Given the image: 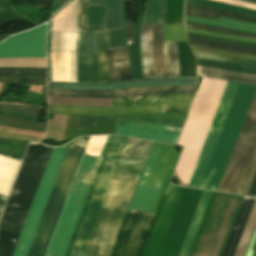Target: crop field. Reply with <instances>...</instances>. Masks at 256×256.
I'll return each mask as SVG.
<instances>
[{
    "label": "crop field",
    "instance_id": "obj_46",
    "mask_svg": "<svg viewBox=\"0 0 256 256\" xmlns=\"http://www.w3.org/2000/svg\"><path fill=\"white\" fill-rule=\"evenodd\" d=\"M127 38L128 45L133 44V36H132V21H127Z\"/></svg>",
    "mask_w": 256,
    "mask_h": 256
},
{
    "label": "crop field",
    "instance_id": "obj_24",
    "mask_svg": "<svg viewBox=\"0 0 256 256\" xmlns=\"http://www.w3.org/2000/svg\"><path fill=\"white\" fill-rule=\"evenodd\" d=\"M185 15L204 17V18H209L214 20H216L218 16H221V17H227V18L256 23V18H253V17L233 14V13H228V12L214 10L206 7L188 5V4H185Z\"/></svg>",
    "mask_w": 256,
    "mask_h": 256
},
{
    "label": "crop field",
    "instance_id": "obj_45",
    "mask_svg": "<svg viewBox=\"0 0 256 256\" xmlns=\"http://www.w3.org/2000/svg\"><path fill=\"white\" fill-rule=\"evenodd\" d=\"M186 30L189 31V32H195V33H200V34H206V35H213V36H219V37H226V38L239 39V40H247V41H255L256 42V40H249V39H242V38L218 35V34H213V33L205 32V31L190 30V29H186Z\"/></svg>",
    "mask_w": 256,
    "mask_h": 256
},
{
    "label": "crop field",
    "instance_id": "obj_4",
    "mask_svg": "<svg viewBox=\"0 0 256 256\" xmlns=\"http://www.w3.org/2000/svg\"><path fill=\"white\" fill-rule=\"evenodd\" d=\"M52 147L30 143L0 220V256H11Z\"/></svg>",
    "mask_w": 256,
    "mask_h": 256
},
{
    "label": "crop field",
    "instance_id": "obj_51",
    "mask_svg": "<svg viewBox=\"0 0 256 256\" xmlns=\"http://www.w3.org/2000/svg\"><path fill=\"white\" fill-rule=\"evenodd\" d=\"M2 209H3V207H2V206H0V214H1Z\"/></svg>",
    "mask_w": 256,
    "mask_h": 256
},
{
    "label": "crop field",
    "instance_id": "obj_15",
    "mask_svg": "<svg viewBox=\"0 0 256 256\" xmlns=\"http://www.w3.org/2000/svg\"><path fill=\"white\" fill-rule=\"evenodd\" d=\"M237 84L238 83L228 82L226 85L225 91L223 93L222 99L220 101L219 107L217 109L216 115L214 117L213 123L211 125L210 131L208 133L195 171L193 173L192 179L190 181V187L198 188L200 185L201 179L203 177L204 171L206 169L207 163L209 161L210 155L212 153L216 139L220 132L221 126L223 124L224 118L226 116L227 110L229 108Z\"/></svg>",
    "mask_w": 256,
    "mask_h": 256
},
{
    "label": "crop field",
    "instance_id": "obj_14",
    "mask_svg": "<svg viewBox=\"0 0 256 256\" xmlns=\"http://www.w3.org/2000/svg\"><path fill=\"white\" fill-rule=\"evenodd\" d=\"M47 23L0 43V57L46 56L44 46Z\"/></svg>",
    "mask_w": 256,
    "mask_h": 256
},
{
    "label": "crop field",
    "instance_id": "obj_47",
    "mask_svg": "<svg viewBox=\"0 0 256 256\" xmlns=\"http://www.w3.org/2000/svg\"><path fill=\"white\" fill-rule=\"evenodd\" d=\"M89 6H93V7H97V6L106 7V0H89Z\"/></svg>",
    "mask_w": 256,
    "mask_h": 256
},
{
    "label": "crop field",
    "instance_id": "obj_3",
    "mask_svg": "<svg viewBox=\"0 0 256 256\" xmlns=\"http://www.w3.org/2000/svg\"><path fill=\"white\" fill-rule=\"evenodd\" d=\"M178 154L153 142L128 210L155 215ZM126 211L110 256H139L154 216Z\"/></svg>",
    "mask_w": 256,
    "mask_h": 256
},
{
    "label": "crop field",
    "instance_id": "obj_44",
    "mask_svg": "<svg viewBox=\"0 0 256 256\" xmlns=\"http://www.w3.org/2000/svg\"><path fill=\"white\" fill-rule=\"evenodd\" d=\"M245 256H256V229Z\"/></svg>",
    "mask_w": 256,
    "mask_h": 256
},
{
    "label": "crop field",
    "instance_id": "obj_38",
    "mask_svg": "<svg viewBox=\"0 0 256 256\" xmlns=\"http://www.w3.org/2000/svg\"><path fill=\"white\" fill-rule=\"evenodd\" d=\"M175 39L186 42L184 25H164V41Z\"/></svg>",
    "mask_w": 256,
    "mask_h": 256
},
{
    "label": "crop field",
    "instance_id": "obj_7",
    "mask_svg": "<svg viewBox=\"0 0 256 256\" xmlns=\"http://www.w3.org/2000/svg\"><path fill=\"white\" fill-rule=\"evenodd\" d=\"M89 137L70 142L27 256H44Z\"/></svg>",
    "mask_w": 256,
    "mask_h": 256
},
{
    "label": "crop field",
    "instance_id": "obj_11",
    "mask_svg": "<svg viewBox=\"0 0 256 256\" xmlns=\"http://www.w3.org/2000/svg\"><path fill=\"white\" fill-rule=\"evenodd\" d=\"M67 146L52 148L12 256H26Z\"/></svg>",
    "mask_w": 256,
    "mask_h": 256
},
{
    "label": "crop field",
    "instance_id": "obj_6",
    "mask_svg": "<svg viewBox=\"0 0 256 256\" xmlns=\"http://www.w3.org/2000/svg\"><path fill=\"white\" fill-rule=\"evenodd\" d=\"M227 82L203 78L177 144L185 145L174 173L189 183Z\"/></svg>",
    "mask_w": 256,
    "mask_h": 256
},
{
    "label": "crop field",
    "instance_id": "obj_19",
    "mask_svg": "<svg viewBox=\"0 0 256 256\" xmlns=\"http://www.w3.org/2000/svg\"><path fill=\"white\" fill-rule=\"evenodd\" d=\"M194 96L167 95L112 99L113 106L163 104V112L187 113Z\"/></svg>",
    "mask_w": 256,
    "mask_h": 256
},
{
    "label": "crop field",
    "instance_id": "obj_5",
    "mask_svg": "<svg viewBox=\"0 0 256 256\" xmlns=\"http://www.w3.org/2000/svg\"><path fill=\"white\" fill-rule=\"evenodd\" d=\"M110 136L90 137L45 256L66 255Z\"/></svg>",
    "mask_w": 256,
    "mask_h": 256
},
{
    "label": "crop field",
    "instance_id": "obj_13",
    "mask_svg": "<svg viewBox=\"0 0 256 256\" xmlns=\"http://www.w3.org/2000/svg\"><path fill=\"white\" fill-rule=\"evenodd\" d=\"M182 190L168 185L142 256H158Z\"/></svg>",
    "mask_w": 256,
    "mask_h": 256
},
{
    "label": "crop field",
    "instance_id": "obj_21",
    "mask_svg": "<svg viewBox=\"0 0 256 256\" xmlns=\"http://www.w3.org/2000/svg\"><path fill=\"white\" fill-rule=\"evenodd\" d=\"M0 83L46 85V68L0 67Z\"/></svg>",
    "mask_w": 256,
    "mask_h": 256
},
{
    "label": "crop field",
    "instance_id": "obj_16",
    "mask_svg": "<svg viewBox=\"0 0 256 256\" xmlns=\"http://www.w3.org/2000/svg\"><path fill=\"white\" fill-rule=\"evenodd\" d=\"M195 87L191 86H163L144 87L118 91H79V90H48V96L63 97H89V98H123L136 96H152L166 94H189L194 95Z\"/></svg>",
    "mask_w": 256,
    "mask_h": 256
},
{
    "label": "crop field",
    "instance_id": "obj_30",
    "mask_svg": "<svg viewBox=\"0 0 256 256\" xmlns=\"http://www.w3.org/2000/svg\"><path fill=\"white\" fill-rule=\"evenodd\" d=\"M187 39H188L189 43L192 45H198V46H204V47H210V48H216V49H222V50L256 55L255 48L241 47V46L223 44V43H218V42H213V41H208V40H201V39H191V38H187Z\"/></svg>",
    "mask_w": 256,
    "mask_h": 256
},
{
    "label": "crop field",
    "instance_id": "obj_37",
    "mask_svg": "<svg viewBox=\"0 0 256 256\" xmlns=\"http://www.w3.org/2000/svg\"><path fill=\"white\" fill-rule=\"evenodd\" d=\"M185 23H186V28L201 29V30H207V31L232 35V36H236V37L256 39V34H250V33L242 32V31L228 30V29H222V28H217V27H213V26L193 24V23H188V25H189V27H188L187 22H185Z\"/></svg>",
    "mask_w": 256,
    "mask_h": 256
},
{
    "label": "crop field",
    "instance_id": "obj_32",
    "mask_svg": "<svg viewBox=\"0 0 256 256\" xmlns=\"http://www.w3.org/2000/svg\"><path fill=\"white\" fill-rule=\"evenodd\" d=\"M198 65L227 70V71L256 75V67L235 65V64H229V63H223V62H217V61H211V60H205V59H199V58H198Z\"/></svg>",
    "mask_w": 256,
    "mask_h": 256
},
{
    "label": "crop field",
    "instance_id": "obj_31",
    "mask_svg": "<svg viewBox=\"0 0 256 256\" xmlns=\"http://www.w3.org/2000/svg\"><path fill=\"white\" fill-rule=\"evenodd\" d=\"M165 0H148L145 23L163 24Z\"/></svg>",
    "mask_w": 256,
    "mask_h": 256
},
{
    "label": "crop field",
    "instance_id": "obj_9",
    "mask_svg": "<svg viewBox=\"0 0 256 256\" xmlns=\"http://www.w3.org/2000/svg\"><path fill=\"white\" fill-rule=\"evenodd\" d=\"M256 171V92L217 191L247 195Z\"/></svg>",
    "mask_w": 256,
    "mask_h": 256
},
{
    "label": "crop field",
    "instance_id": "obj_26",
    "mask_svg": "<svg viewBox=\"0 0 256 256\" xmlns=\"http://www.w3.org/2000/svg\"><path fill=\"white\" fill-rule=\"evenodd\" d=\"M198 75L236 82L256 84V76L254 75L239 74L200 66H198Z\"/></svg>",
    "mask_w": 256,
    "mask_h": 256
},
{
    "label": "crop field",
    "instance_id": "obj_50",
    "mask_svg": "<svg viewBox=\"0 0 256 256\" xmlns=\"http://www.w3.org/2000/svg\"><path fill=\"white\" fill-rule=\"evenodd\" d=\"M243 1H247V2H251V3H255L256 4V0H243Z\"/></svg>",
    "mask_w": 256,
    "mask_h": 256
},
{
    "label": "crop field",
    "instance_id": "obj_23",
    "mask_svg": "<svg viewBox=\"0 0 256 256\" xmlns=\"http://www.w3.org/2000/svg\"><path fill=\"white\" fill-rule=\"evenodd\" d=\"M255 199L244 197L222 256H233Z\"/></svg>",
    "mask_w": 256,
    "mask_h": 256
},
{
    "label": "crop field",
    "instance_id": "obj_40",
    "mask_svg": "<svg viewBox=\"0 0 256 256\" xmlns=\"http://www.w3.org/2000/svg\"><path fill=\"white\" fill-rule=\"evenodd\" d=\"M41 108L42 107H40V106H34V105H28V104H26L25 107L0 105V110L18 113V114H22V115H30V116H36L38 111Z\"/></svg>",
    "mask_w": 256,
    "mask_h": 256
},
{
    "label": "crop field",
    "instance_id": "obj_2",
    "mask_svg": "<svg viewBox=\"0 0 256 256\" xmlns=\"http://www.w3.org/2000/svg\"><path fill=\"white\" fill-rule=\"evenodd\" d=\"M77 16L78 0L55 14V24L52 16L47 39L48 82L53 24L50 81H77ZM109 39L110 31L78 32V82L110 81L106 54Z\"/></svg>",
    "mask_w": 256,
    "mask_h": 256
},
{
    "label": "crop field",
    "instance_id": "obj_22",
    "mask_svg": "<svg viewBox=\"0 0 256 256\" xmlns=\"http://www.w3.org/2000/svg\"><path fill=\"white\" fill-rule=\"evenodd\" d=\"M111 81L132 79L128 47L108 49Z\"/></svg>",
    "mask_w": 256,
    "mask_h": 256
},
{
    "label": "crop field",
    "instance_id": "obj_8",
    "mask_svg": "<svg viewBox=\"0 0 256 256\" xmlns=\"http://www.w3.org/2000/svg\"><path fill=\"white\" fill-rule=\"evenodd\" d=\"M255 89L254 85L238 84L200 189L217 190Z\"/></svg>",
    "mask_w": 256,
    "mask_h": 256
},
{
    "label": "crop field",
    "instance_id": "obj_33",
    "mask_svg": "<svg viewBox=\"0 0 256 256\" xmlns=\"http://www.w3.org/2000/svg\"><path fill=\"white\" fill-rule=\"evenodd\" d=\"M255 223H256V200L254 202L253 208L249 215L248 221L246 223L245 229L243 231V234L241 236L240 242L238 244V247L236 249L234 256H243Z\"/></svg>",
    "mask_w": 256,
    "mask_h": 256
},
{
    "label": "crop field",
    "instance_id": "obj_49",
    "mask_svg": "<svg viewBox=\"0 0 256 256\" xmlns=\"http://www.w3.org/2000/svg\"><path fill=\"white\" fill-rule=\"evenodd\" d=\"M6 196L0 195V205H4L5 201H6Z\"/></svg>",
    "mask_w": 256,
    "mask_h": 256
},
{
    "label": "crop field",
    "instance_id": "obj_25",
    "mask_svg": "<svg viewBox=\"0 0 256 256\" xmlns=\"http://www.w3.org/2000/svg\"><path fill=\"white\" fill-rule=\"evenodd\" d=\"M20 162L0 156V194L8 195Z\"/></svg>",
    "mask_w": 256,
    "mask_h": 256
},
{
    "label": "crop field",
    "instance_id": "obj_48",
    "mask_svg": "<svg viewBox=\"0 0 256 256\" xmlns=\"http://www.w3.org/2000/svg\"><path fill=\"white\" fill-rule=\"evenodd\" d=\"M247 196L256 197V174L254 176L253 182L251 184V187Z\"/></svg>",
    "mask_w": 256,
    "mask_h": 256
},
{
    "label": "crop field",
    "instance_id": "obj_43",
    "mask_svg": "<svg viewBox=\"0 0 256 256\" xmlns=\"http://www.w3.org/2000/svg\"><path fill=\"white\" fill-rule=\"evenodd\" d=\"M95 120H111L110 117L79 116L78 126H95Z\"/></svg>",
    "mask_w": 256,
    "mask_h": 256
},
{
    "label": "crop field",
    "instance_id": "obj_18",
    "mask_svg": "<svg viewBox=\"0 0 256 256\" xmlns=\"http://www.w3.org/2000/svg\"><path fill=\"white\" fill-rule=\"evenodd\" d=\"M115 133L175 144L181 128L162 124L114 122ZM181 132V131H180ZM178 140V139H177Z\"/></svg>",
    "mask_w": 256,
    "mask_h": 256
},
{
    "label": "crop field",
    "instance_id": "obj_17",
    "mask_svg": "<svg viewBox=\"0 0 256 256\" xmlns=\"http://www.w3.org/2000/svg\"><path fill=\"white\" fill-rule=\"evenodd\" d=\"M196 78L150 79L116 83H48V89L118 90L144 86L191 85Z\"/></svg>",
    "mask_w": 256,
    "mask_h": 256
},
{
    "label": "crop field",
    "instance_id": "obj_29",
    "mask_svg": "<svg viewBox=\"0 0 256 256\" xmlns=\"http://www.w3.org/2000/svg\"><path fill=\"white\" fill-rule=\"evenodd\" d=\"M185 21L228 27V28L249 31V32H256V25L254 24L243 23V22L225 19L221 17H219L217 21H214V20H209L204 18L185 16Z\"/></svg>",
    "mask_w": 256,
    "mask_h": 256
},
{
    "label": "crop field",
    "instance_id": "obj_41",
    "mask_svg": "<svg viewBox=\"0 0 256 256\" xmlns=\"http://www.w3.org/2000/svg\"><path fill=\"white\" fill-rule=\"evenodd\" d=\"M191 47L193 48V50H196V51H202V52H208V53L256 60L255 55L240 54V53H234V52H228V51H222V50H216V49H210V48H204V47H198V46H192V45H191Z\"/></svg>",
    "mask_w": 256,
    "mask_h": 256
},
{
    "label": "crop field",
    "instance_id": "obj_42",
    "mask_svg": "<svg viewBox=\"0 0 256 256\" xmlns=\"http://www.w3.org/2000/svg\"><path fill=\"white\" fill-rule=\"evenodd\" d=\"M88 0H79L78 31H87Z\"/></svg>",
    "mask_w": 256,
    "mask_h": 256
},
{
    "label": "crop field",
    "instance_id": "obj_1",
    "mask_svg": "<svg viewBox=\"0 0 256 256\" xmlns=\"http://www.w3.org/2000/svg\"><path fill=\"white\" fill-rule=\"evenodd\" d=\"M127 139L112 138L69 256L84 253ZM151 143L128 139L83 256H109Z\"/></svg>",
    "mask_w": 256,
    "mask_h": 256
},
{
    "label": "crop field",
    "instance_id": "obj_10",
    "mask_svg": "<svg viewBox=\"0 0 256 256\" xmlns=\"http://www.w3.org/2000/svg\"><path fill=\"white\" fill-rule=\"evenodd\" d=\"M144 78L180 77L176 42H162V25L141 24Z\"/></svg>",
    "mask_w": 256,
    "mask_h": 256
},
{
    "label": "crop field",
    "instance_id": "obj_39",
    "mask_svg": "<svg viewBox=\"0 0 256 256\" xmlns=\"http://www.w3.org/2000/svg\"><path fill=\"white\" fill-rule=\"evenodd\" d=\"M193 52L196 57H200V58H206V59H212V60L242 64V65L256 66V61L237 59V58H231V57H225V56H219V55H213V54H207V53H201V52H195V51Z\"/></svg>",
    "mask_w": 256,
    "mask_h": 256
},
{
    "label": "crop field",
    "instance_id": "obj_27",
    "mask_svg": "<svg viewBox=\"0 0 256 256\" xmlns=\"http://www.w3.org/2000/svg\"><path fill=\"white\" fill-rule=\"evenodd\" d=\"M134 45L129 46L133 79L143 78L140 52V24L133 23Z\"/></svg>",
    "mask_w": 256,
    "mask_h": 256
},
{
    "label": "crop field",
    "instance_id": "obj_20",
    "mask_svg": "<svg viewBox=\"0 0 256 256\" xmlns=\"http://www.w3.org/2000/svg\"><path fill=\"white\" fill-rule=\"evenodd\" d=\"M162 105L131 106L118 108L62 107L48 105V113L84 115H123L137 113H160Z\"/></svg>",
    "mask_w": 256,
    "mask_h": 256
},
{
    "label": "crop field",
    "instance_id": "obj_36",
    "mask_svg": "<svg viewBox=\"0 0 256 256\" xmlns=\"http://www.w3.org/2000/svg\"><path fill=\"white\" fill-rule=\"evenodd\" d=\"M0 125L41 132H45L46 130V124L43 123L30 122L6 117H0Z\"/></svg>",
    "mask_w": 256,
    "mask_h": 256
},
{
    "label": "crop field",
    "instance_id": "obj_52",
    "mask_svg": "<svg viewBox=\"0 0 256 256\" xmlns=\"http://www.w3.org/2000/svg\"><path fill=\"white\" fill-rule=\"evenodd\" d=\"M67 1H69V0H65V3H66Z\"/></svg>",
    "mask_w": 256,
    "mask_h": 256
},
{
    "label": "crop field",
    "instance_id": "obj_28",
    "mask_svg": "<svg viewBox=\"0 0 256 256\" xmlns=\"http://www.w3.org/2000/svg\"><path fill=\"white\" fill-rule=\"evenodd\" d=\"M211 192L204 191L201 197V200L199 202V205L197 207L196 213L194 215V218L192 220L191 226L189 228V231L187 233L186 239L184 241V244L182 246L181 252L179 256H187V253L189 251L190 245L192 243L193 237L195 235V232L197 230L198 224L200 222L201 216L203 214V211L205 209L206 203L208 201L209 195ZM195 238V237H194Z\"/></svg>",
    "mask_w": 256,
    "mask_h": 256
},
{
    "label": "crop field",
    "instance_id": "obj_12",
    "mask_svg": "<svg viewBox=\"0 0 256 256\" xmlns=\"http://www.w3.org/2000/svg\"><path fill=\"white\" fill-rule=\"evenodd\" d=\"M111 30V47L127 45L125 0H108L107 9L89 7L88 31Z\"/></svg>",
    "mask_w": 256,
    "mask_h": 256
},
{
    "label": "crop field",
    "instance_id": "obj_34",
    "mask_svg": "<svg viewBox=\"0 0 256 256\" xmlns=\"http://www.w3.org/2000/svg\"><path fill=\"white\" fill-rule=\"evenodd\" d=\"M0 66L46 67V57L0 58Z\"/></svg>",
    "mask_w": 256,
    "mask_h": 256
},
{
    "label": "crop field",
    "instance_id": "obj_35",
    "mask_svg": "<svg viewBox=\"0 0 256 256\" xmlns=\"http://www.w3.org/2000/svg\"><path fill=\"white\" fill-rule=\"evenodd\" d=\"M186 3L189 4H195V5H201V6H208V7H214V8H220L244 15H250V16H256V11L250 10V9H245L241 7H236L232 5H227L223 3H218L210 0H186Z\"/></svg>",
    "mask_w": 256,
    "mask_h": 256
}]
</instances>
